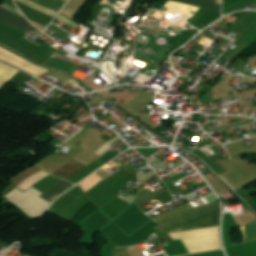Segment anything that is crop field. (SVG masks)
Returning <instances> with one entry per match:
<instances>
[{"mask_svg":"<svg viewBox=\"0 0 256 256\" xmlns=\"http://www.w3.org/2000/svg\"><path fill=\"white\" fill-rule=\"evenodd\" d=\"M0 22H3L23 32H25L28 28L31 27L25 19L11 12H8L2 8H0Z\"/></svg>","mask_w":256,"mask_h":256,"instance_id":"34b2d1b8","label":"crop field"},{"mask_svg":"<svg viewBox=\"0 0 256 256\" xmlns=\"http://www.w3.org/2000/svg\"><path fill=\"white\" fill-rule=\"evenodd\" d=\"M16 1H18L20 3H23V4H25V5L29 6V7H32L34 9H36V10H39V11H41V12H43L45 14H48V15H50L52 17H54L55 14H56V12H54V11L48 9V8L41 7V6L31 2L29 0H16Z\"/></svg>","mask_w":256,"mask_h":256,"instance_id":"d8731c3e","label":"crop field"},{"mask_svg":"<svg viewBox=\"0 0 256 256\" xmlns=\"http://www.w3.org/2000/svg\"><path fill=\"white\" fill-rule=\"evenodd\" d=\"M16 72L17 70L0 63V87L3 86Z\"/></svg>","mask_w":256,"mask_h":256,"instance_id":"e52e79f7","label":"crop field"},{"mask_svg":"<svg viewBox=\"0 0 256 256\" xmlns=\"http://www.w3.org/2000/svg\"><path fill=\"white\" fill-rule=\"evenodd\" d=\"M180 1L221 11V1H218V0H180Z\"/></svg>","mask_w":256,"mask_h":256,"instance_id":"dd49c442","label":"crop field"},{"mask_svg":"<svg viewBox=\"0 0 256 256\" xmlns=\"http://www.w3.org/2000/svg\"><path fill=\"white\" fill-rule=\"evenodd\" d=\"M84 167H86V165L70 159L52 174L61 177H72Z\"/></svg>","mask_w":256,"mask_h":256,"instance_id":"412701ff","label":"crop field"},{"mask_svg":"<svg viewBox=\"0 0 256 256\" xmlns=\"http://www.w3.org/2000/svg\"><path fill=\"white\" fill-rule=\"evenodd\" d=\"M0 7H2V8H4V9L8 10V11H11V12H13V13H15V14L21 16V17H23V15H22L17 9L12 8V7H10V6L6 5V4H3V5H1Z\"/></svg>","mask_w":256,"mask_h":256,"instance_id":"5a996713","label":"crop field"},{"mask_svg":"<svg viewBox=\"0 0 256 256\" xmlns=\"http://www.w3.org/2000/svg\"><path fill=\"white\" fill-rule=\"evenodd\" d=\"M218 200L156 223L159 232L179 231L219 224Z\"/></svg>","mask_w":256,"mask_h":256,"instance_id":"8a807250","label":"crop field"},{"mask_svg":"<svg viewBox=\"0 0 256 256\" xmlns=\"http://www.w3.org/2000/svg\"><path fill=\"white\" fill-rule=\"evenodd\" d=\"M0 61L21 68L39 78L48 71V69L38 67L2 47H0Z\"/></svg>","mask_w":256,"mask_h":256,"instance_id":"ac0d7876","label":"crop field"},{"mask_svg":"<svg viewBox=\"0 0 256 256\" xmlns=\"http://www.w3.org/2000/svg\"><path fill=\"white\" fill-rule=\"evenodd\" d=\"M69 186H71V184L60 179L55 185H53L49 190H47L41 197L52 201L57 195H59Z\"/></svg>","mask_w":256,"mask_h":256,"instance_id":"f4fd0767","label":"crop field"}]
</instances>
